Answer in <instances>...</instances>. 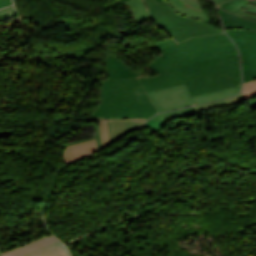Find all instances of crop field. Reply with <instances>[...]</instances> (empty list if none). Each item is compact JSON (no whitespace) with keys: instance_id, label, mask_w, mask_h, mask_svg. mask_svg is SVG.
<instances>
[{"instance_id":"1","label":"crop field","mask_w":256,"mask_h":256,"mask_svg":"<svg viewBox=\"0 0 256 256\" xmlns=\"http://www.w3.org/2000/svg\"><path fill=\"white\" fill-rule=\"evenodd\" d=\"M161 54L145 77L122 60L105 58L108 78L100 81L101 103L92 117L149 118L155 106L145 92L185 83L191 96L241 84L237 51L225 33L195 37L177 44L171 38L152 45Z\"/></svg>"},{"instance_id":"2","label":"crop field","mask_w":256,"mask_h":256,"mask_svg":"<svg viewBox=\"0 0 256 256\" xmlns=\"http://www.w3.org/2000/svg\"><path fill=\"white\" fill-rule=\"evenodd\" d=\"M127 4L137 24L152 18L177 43L195 36L223 32L199 20L182 17L166 0H133Z\"/></svg>"},{"instance_id":"3","label":"crop field","mask_w":256,"mask_h":256,"mask_svg":"<svg viewBox=\"0 0 256 256\" xmlns=\"http://www.w3.org/2000/svg\"><path fill=\"white\" fill-rule=\"evenodd\" d=\"M218 11L227 33L241 52L243 83L256 79V21Z\"/></svg>"},{"instance_id":"4","label":"crop field","mask_w":256,"mask_h":256,"mask_svg":"<svg viewBox=\"0 0 256 256\" xmlns=\"http://www.w3.org/2000/svg\"><path fill=\"white\" fill-rule=\"evenodd\" d=\"M240 89L241 85L217 92L190 97L185 85L182 84L174 87L148 92L147 95L149 96L156 110L158 112H161L169 109L179 108L231 96L238 93Z\"/></svg>"},{"instance_id":"5","label":"crop field","mask_w":256,"mask_h":256,"mask_svg":"<svg viewBox=\"0 0 256 256\" xmlns=\"http://www.w3.org/2000/svg\"><path fill=\"white\" fill-rule=\"evenodd\" d=\"M170 5L183 16H189L202 20L204 22H212L204 13L201 0H167Z\"/></svg>"},{"instance_id":"6","label":"crop field","mask_w":256,"mask_h":256,"mask_svg":"<svg viewBox=\"0 0 256 256\" xmlns=\"http://www.w3.org/2000/svg\"><path fill=\"white\" fill-rule=\"evenodd\" d=\"M147 119H107L110 140L113 141L124 133L141 126Z\"/></svg>"},{"instance_id":"7","label":"crop field","mask_w":256,"mask_h":256,"mask_svg":"<svg viewBox=\"0 0 256 256\" xmlns=\"http://www.w3.org/2000/svg\"><path fill=\"white\" fill-rule=\"evenodd\" d=\"M218 7L242 16L256 19V0H229Z\"/></svg>"},{"instance_id":"8","label":"crop field","mask_w":256,"mask_h":256,"mask_svg":"<svg viewBox=\"0 0 256 256\" xmlns=\"http://www.w3.org/2000/svg\"><path fill=\"white\" fill-rule=\"evenodd\" d=\"M97 151L96 141L91 140L78 145L67 147L64 153L65 163L76 161L86 155Z\"/></svg>"},{"instance_id":"9","label":"crop field","mask_w":256,"mask_h":256,"mask_svg":"<svg viewBox=\"0 0 256 256\" xmlns=\"http://www.w3.org/2000/svg\"><path fill=\"white\" fill-rule=\"evenodd\" d=\"M20 256H70L65 247L59 242H55L46 247L28 252Z\"/></svg>"},{"instance_id":"10","label":"crop field","mask_w":256,"mask_h":256,"mask_svg":"<svg viewBox=\"0 0 256 256\" xmlns=\"http://www.w3.org/2000/svg\"><path fill=\"white\" fill-rule=\"evenodd\" d=\"M57 241V239H55L52 235L47 236L45 238L39 239L37 241L31 242L29 244H26L24 246H21L15 250H12L10 252L7 253H3L2 256H18L20 254L26 253L28 251L46 246L50 243H53Z\"/></svg>"},{"instance_id":"11","label":"crop field","mask_w":256,"mask_h":256,"mask_svg":"<svg viewBox=\"0 0 256 256\" xmlns=\"http://www.w3.org/2000/svg\"><path fill=\"white\" fill-rule=\"evenodd\" d=\"M192 115H196L194 107L160 113L156 116L151 117L150 119L161 120V119L186 117V116H192Z\"/></svg>"},{"instance_id":"12","label":"crop field","mask_w":256,"mask_h":256,"mask_svg":"<svg viewBox=\"0 0 256 256\" xmlns=\"http://www.w3.org/2000/svg\"><path fill=\"white\" fill-rule=\"evenodd\" d=\"M243 100H244V98H243L242 94L240 93L238 96L223 99V100H219V101H215V102H211V103L202 104V105H199V106H195V108H196L197 112H199V111L209 109V108H212V107H218V106H224V105L239 103Z\"/></svg>"},{"instance_id":"13","label":"crop field","mask_w":256,"mask_h":256,"mask_svg":"<svg viewBox=\"0 0 256 256\" xmlns=\"http://www.w3.org/2000/svg\"><path fill=\"white\" fill-rule=\"evenodd\" d=\"M241 92L245 99L256 96V80L244 83L243 90Z\"/></svg>"},{"instance_id":"14","label":"crop field","mask_w":256,"mask_h":256,"mask_svg":"<svg viewBox=\"0 0 256 256\" xmlns=\"http://www.w3.org/2000/svg\"><path fill=\"white\" fill-rule=\"evenodd\" d=\"M170 120H161V121H155V120H149L144 126L142 127H148L151 128L148 134L155 132L161 128H163Z\"/></svg>"},{"instance_id":"15","label":"crop field","mask_w":256,"mask_h":256,"mask_svg":"<svg viewBox=\"0 0 256 256\" xmlns=\"http://www.w3.org/2000/svg\"><path fill=\"white\" fill-rule=\"evenodd\" d=\"M100 125H101V134H102V143H103V146H106L108 143H110L106 120H100Z\"/></svg>"},{"instance_id":"16","label":"crop field","mask_w":256,"mask_h":256,"mask_svg":"<svg viewBox=\"0 0 256 256\" xmlns=\"http://www.w3.org/2000/svg\"><path fill=\"white\" fill-rule=\"evenodd\" d=\"M13 15H14V12H13L12 6L0 10V19L10 17Z\"/></svg>"},{"instance_id":"17","label":"crop field","mask_w":256,"mask_h":256,"mask_svg":"<svg viewBox=\"0 0 256 256\" xmlns=\"http://www.w3.org/2000/svg\"><path fill=\"white\" fill-rule=\"evenodd\" d=\"M11 1L10 0H0V8L11 5Z\"/></svg>"},{"instance_id":"18","label":"crop field","mask_w":256,"mask_h":256,"mask_svg":"<svg viewBox=\"0 0 256 256\" xmlns=\"http://www.w3.org/2000/svg\"><path fill=\"white\" fill-rule=\"evenodd\" d=\"M216 5L225 2L226 0H212Z\"/></svg>"},{"instance_id":"19","label":"crop field","mask_w":256,"mask_h":256,"mask_svg":"<svg viewBox=\"0 0 256 256\" xmlns=\"http://www.w3.org/2000/svg\"><path fill=\"white\" fill-rule=\"evenodd\" d=\"M250 106H251V108L256 107V100H254V101L250 102Z\"/></svg>"},{"instance_id":"20","label":"crop field","mask_w":256,"mask_h":256,"mask_svg":"<svg viewBox=\"0 0 256 256\" xmlns=\"http://www.w3.org/2000/svg\"><path fill=\"white\" fill-rule=\"evenodd\" d=\"M0 256H1V253H0Z\"/></svg>"}]
</instances>
